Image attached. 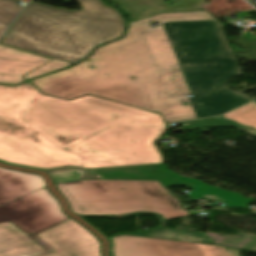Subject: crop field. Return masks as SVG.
I'll return each mask as SVG.
<instances>
[{"label":"crop field","instance_id":"1","mask_svg":"<svg viewBox=\"0 0 256 256\" xmlns=\"http://www.w3.org/2000/svg\"><path fill=\"white\" fill-rule=\"evenodd\" d=\"M215 19L207 12L160 14L129 24L123 39L99 47L78 65L31 82L67 100L92 96L152 110L166 123L223 114L251 100L226 88L240 75L217 20L162 23L184 73L157 21Z\"/></svg>","mask_w":256,"mask_h":256},{"label":"crop field","instance_id":"2","mask_svg":"<svg viewBox=\"0 0 256 256\" xmlns=\"http://www.w3.org/2000/svg\"><path fill=\"white\" fill-rule=\"evenodd\" d=\"M165 131L156 113L85 96L65 101L32 85H0V161L83 169L163 163L153 144ZM63 148H66L64 150Z\"/></svg>","mask_w":256,"mask_h":256},{"label":"crop field","instance_id":"3","mask_svg":"<svg viewBox=\"0 0 256 256\" xmlns=\"http://www.w3.org/2000/svg\"><path fill=\"white\" fill-rule=\"evenodd\" d=\"M91 11H69L30 1L0 42L38 55L75 63L94 47L120 37L125 20L101 0Z\"/></svg>","mask_w":256,"mask_h":256},{"label":"crop field","instance_id":"4","mask_svg":"<svg viewBox=\"0 0 256 256\" xmlns=\"http://www.w3.org/2000/svg\"><path fill=\"white\" fill-rule=\"evenodd\" d=\"M77 215L155 212L164 219L188 216L159 181L82 180L55 184Z\"/></svg>","mask_w":256,"mask_h":256},{"label":"crop field","instance_id":"5","mask_svg":"<svg viewBox=\"0 0 256 256\" xmlns=\"http://www.w3.org/2000/svg\"><path fill=\"white\" fill-rule=\"evenodd\" d=\"M0 256H101V244L71 218L32 236L7 222L0 224Z\"/></svg>","mask_w":256,"mask_h":256},{"label":"crop field","instance_id":"6","mask_svg":"<svg viewBox=\"0 0 256 256\" xmlns=\"http://www.w3.org/2000/svg\"><path fill=\"white\" fill-rule=\"evenodd\" d=\"M44 186L39 175L0 168V205ZM67 218L46 188L0 208V223L13 221L30 235Z\"/></svg>","mask_w":256,"mask_h":256},{"label":"crop field","instance_id":"7","mask_svg":"<svg viewBox=\"0 0 256 256\" xmlns=\"http://www.w3.org/2000/svg\"><path fill=\"white\" fill-rule=\"evenodd\" d=\"M109 241L111 256H241V250L215 245L132 236H112Z\"/></svg>","mask_w":256,"mask_h":256},{"label":"crop field","instance_id":"8","mask_svg":"<svg viewBox=\"0 0 256 256\" xmlns=\"http://www.w3.org/2000/svg\"><path fill=\"white\" fill-rule=\"evenodd\" d=\"M47 173L55 183L68 182L76 179L159 180L165 188L176 186L187 179V177L171 172L163 164L91 170L62 168L48 171Z\"/></svg>","mask_w":256,"mask_h":256},{"label":"crop field","instance_id":"9","mask_svg":"<svg viewBox=\"0 0 256 256\" xmlns=\"http://www.w3.org/2000/svg\"><path fill=\"white\" fill-rule=\"evenodd\" d=\"M134 22L160 13L189 12L199 9L207 0H179L169 7L162 0H112Z\"/></svg>","mask_w":256,"mask_h":256},{"label":"crop field","instance_id":"10","mask_svg":"<svg viewBox=\"0 0 256 256\" xmlns=\"http://www.w3.org/2000/svg\"><path fill=\"white\" fill-rule=\"evenodd\" d=\"M49 61L46 58L0 45V83L16 84L21 75Z\"/></svg>","mask_w":256,"mask_h":256},{"label":"crop field","instance_id":"11","mask_svg":"<svg viewBox=\"0 0 256 256\" xmlns=\"http://www.w3.org/2000/svg\"><path fill=\"white\" fill-rule=\"evenodd\" d=\"M179 185L189 186L193 190L189 193V197L198 200L201 197H207L217 202L225 204L227 207L242 208L248 203L256 200V198L246 199L240 193L225 191L221 188L207 185L202 181L188 178Z\"/></svg>","mask_w":256,"mask_h":256},{"label":"crop field","instance_id":"12","mask_svg":"<svg viewBox=\"0 0 256 256\" xmlns=\"http://www.w3.org/2000/svg\"><path fill=\"white\" fill-rule=\"evenodd\" d=\"M132 236H141V237H149V238L168 239V240H177V241H187V242L218 245L214 241H212L210 238H208L206 235H204L203 233L175 230V229H167V228H163L156 232L136 234V235H132Z\"/></svg>","mask_w":256,"mask_h":256},{"label":"crop field","instance_id":"13","mask_svg":"<svg viewBox=\"0 0 256 256\" xmlns=\"http://www.w3.org/2000/svg\"><path fill=\"white\" fill-rule=\"evenodd\" d=\"M222 117L235 120L242 125L256 128V101L240 107Z\"/></svg>","mask_w":256,"mask_h":256},{"label":"crop field","instance_id":"14","mask_svg":"<svg viewBox=\"0 0 256 256\" xmlns=\"http://www.w3.org/2000/svg\"><path fill=\"white\" fill-rule=\"evenodd\" d=\"M15 0H0V37L21 11Z\"/></svg>","mask_w":256,"mask_h":256},{"label":"crop field","instance_id":"15","mask_svg":"<svg viewBox=\"0 0 256 256\" xmlns=\"http://www.w3.org/2000/svg\"><path fill=\"white\" fill-rule=\"evenodd\" d=\"M72 64L69 63H65V62H61V61H57V60H53L41 67H39L38 69L30 72L29 74H27L26 76H24V78L26 80L31 79V78H35L47 73H51L60 69H64L68 66H70Z\"/></svg>","mask_w":256,"mask_h":256},{"label":"crop field","instance_id":"16","mask_svg":"<svg viewBox=\"0 0 256 256\" xmlns=\"http://www.w3.org/2000/svg\"><path fill=\"white\" fill-rule=\"evenodd\" d=\"M239 235L242 236V237H245V238L252 239V240L249 241V242L247 243V245H246L243 249H241V250L256 253V237L248 236V235L242 234V233H240V232H239Z\"/></svg>","mask_w":256,"mask_h":256},{"label":"crop field","instance_id":"17","mask_svg":"<svg viewBox=\"0 0 256 256\" xmlns=\"http://www.w3.org/2000/svg\"><path fill=\"white\" fill-rule=\"evenodd\" d=\"M83 5H84V10H90L88 2L83 3Z\"/></svg>","mask_w":256,"mask_h":256}]
</instances>
